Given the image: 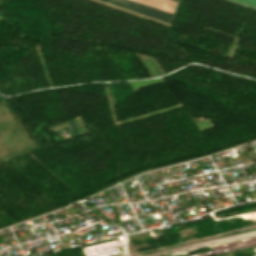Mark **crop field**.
<instances>
[{"label": "crop field", "mask_w": 256, "mask_h": 256, "mask_svg": "<svg viewBox=\"0 0 256 256\" xmlns=\"http://www.w3.org/2000/svg\"><path fill=\"white\" fill-rule=\"evenodd\" d=\"M239 3H242L244 5L256 8V0H233Z\"/></svg>", "instance_id": "34b2d1b8"}, {"label": "crop field", "mask_w": 256, "mask_h": 256, "mask_svg": "<svg viewBox=\"0 0 256 256\" xmlns=\"http://www.w3.org/2000/svg\"><path fill=\"white\" fill-rule=\"evenodd\" d=\"M143 16H147L165 23H170L172 14L141 5L129 0H98Z\"/></svg>", "instance_id": "8a807250"}, {"label": "crop field", "mask_w": 256, "mask_h": 256, "mask_svg": "<svg viewBox=\"0 0 256 256\" xmlns=\"http://www.w3.org/2000/svg\"><path fill=\"white\" fill-rule=\"evenodd\" d=\"M141 4H145L169 13H174L177 1L174 0H132Z\"/></svg>", "instance_id": "ac0d7876"}]
</instances>
